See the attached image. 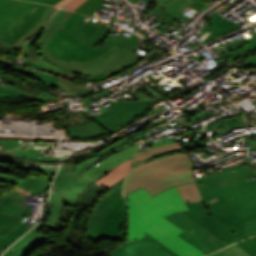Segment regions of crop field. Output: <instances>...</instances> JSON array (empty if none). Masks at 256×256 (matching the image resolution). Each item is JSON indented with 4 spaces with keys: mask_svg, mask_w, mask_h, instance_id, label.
Wrapping results in <instances>:
<instances>
[{
    "mask_svg": "<svg viewBox=\"0 0 256 256\" xmlns=\"http://www.w3.org/2000/svg\"><path fill=\"white\" fill-rule=\"evenodd\" d=\"M60 1H61V0H45V1H43L42 3L54 5V4H56V3L60 2Z\"/></svg>",
    "mask_w": 256,
    "mask_h": 256,
    "instance_id": "crop-field-46",
    "label": "crop field"
},
{
    "mask_svg": "<svg viewBox=\"0 0 256 256\" xmlns=\"http://www.w3.org/2000/svg\"><path fill=\"white\" fill-rule=\"evenodd\" d=\"M234 169L236 171L233 172L232 170H234ZM251 170H253L252 167L245 169L243 165H240V166H236V167L230 168L228 170H225L224 172L216 174V175L196 179V183L199 186V185H203V184H206V183L213 182V181H215V179L220 180V179H223V178H227V177L234 176V175L244 173V172H247V171H251Z\"/></svg>",
    "mask_w": 256,
    "mask_h": 256,
    "instance_id": "crop-field-25",
    "label": "crop field"
},
{
    "mask_svg": "<svg viewBox=\"0 0 256 256\" xmlns=\"http://www.w3.org/2000/svg\"><path fill=\"white\" fill-rule=\"evenodd\" d=\"M137 44L138 35L133 33L130 39L121 37L116 47L134 52V48L137 47Z\"/></svg>",
    "mask_w": 256,
    "mask_h": 256,
    "instance_id": "crop-field-31",
    "label": "crop field"
},
{
    "mask_svg": "<svg viewBox=\"0 0 256 256\" xmlns=\"http://www.w3.org/2000/svg\"><path fill=\"white\" fill-rule=\"evenodd\" d=\"M85 17L68 33L93 47L101 41L109 27L105 24L106 22L91 17L85 19Z\"/></svg>",
    "mask_w": 256,
    "mask_h": 256,
    "instance_id": "crop-field-13",
    "label": "crop field"
},
{
    "mask_svg": "<svg viewBox=\"0 0 256 256\" xmlns=\"http://www.w3.org/2000/svg\"><path fill=\"white\" fill-rule=\"evenodd\" d=\"M2 85H5V86L10 87V88H12V89H14V90H16V91H19V92H21V93H24V94H26V95H29V96L34 97L33 95H31V94H29V93H27V92H24V91H22V90H20V89H17V88H15V87L11 86V85H8V84H6V83H4V82H2ZM34 98H35V97H34Z\"/></svg>",
    "mask_w": 256,
    "mask_h": 256,
    "instance_id": "crop-field-42",
    "label": "crop field"
},
{
    "mask_svg": "<svg viewBox=\"0 0 256 256\" xmlns=\"http://www.w3.org/2000/svg\"><path fill=\"white\" fill-rule=\"evenodd\" d=\"M178 236H180L181 238H183L185 241H187L188 243H190L191 245H193L195 248H197L198 250L201 251V249H203L204 254L208 255L209 253L213 252L211 250H209L208 248L204 247L203 245H201L199 242H197L195 239H193L191 236H189L187 233L183 232L178 234Z\"/></svg>",
    "mask_w": 256,
    "mask_h": 256,
    "instance_id": "crop-field-34",
    "label": "crop field"
},
{
    "mask_svg": "<svg viewBox=\"0 0 256 256\" xmlns=\"http://www.w3.org/2000/svg\"><path fill=\"white\" fill-rule=\"evenodd\" d=\"M177 189L183 201L200 202L203 200L195 183L178 186Z\"/></svg>",
    "mask_w": 256,
    "mask_h": 256,
    "instance_id": "crop-field-26",
    "label": "crop field"
},
{
    "mask_svg": "<svg viewBox=\"0 0 256 256\" xmlns=\"http://www.w3.org/2000/svg\"><path fill=\"white\" fill-rule=\"evenodd\" d=\"M103 6H100L99 8H102ZM105 9V7H103Z\"/></svg>",
    "mask_w": 256,
    "mask_h": 256,
    "instance_id": "crop-field-52",
    "label": "crop field"
},
{
    "mask_svg": "<svg viewBox=\"0 0 256 256\" xmlns=\"http://www.w3.org/2000/svg\"><path fill=\"white\" fill-rule=\"evenodd\" d=\"M0 93H16V92L0 86Z\"/></svg>",
    "mask_w": 256,
    "mask_h": 256,
    "instance_id": "crop-field-45",
    "label": "crop field"
},
{
    "mask_svg": "<svg viewBox=\"0 0 256 256\" xmlns=\"http://www.w3.org/2000/svg\"><path fill=\"white\" fill-rule=\"evenodd\" d=\"M0 62L3 63V64H10V65H13V63H10V62L5 61V60H2V59H0Z\"/></svg>",
    "mask_w": 256,
    "mask_h": 256,
    "instance_id": "crop-field-48",
    "label": "crop field"
},
{
    "mask_svg": "<svg viewBox=\"0 0 256 256\" xmlns=\"http://www.w3.org/2000/svg\"><path fill=\"white\" fill-rule=\"evenodd\" d=\"M156 4L167 10L157 18L158 22L161 24L155 28L159 31L165 28L161 26L165 22L169 24L177 18L180 20L184 18L186 15L182 14L181 12L186 8L190 7L198 11L203 6L194 0H160Z\"/></svg>",
    "mask_w": 256,
    "mask_h": 256,
    "instance_id": "crop-field-14",
    "label": "crop field"
},
{
    "mask_svg": "<svg viewBox=\"0 0 256 256\" xmlns=\"http://www.w3.org/2000/svg\"><path fill=\"white\" fill-rule=\"evenodd\" d=\"M124 198H125V199H127L128 197H127V196H125ZM125 201H126V200H125Z\"/></svg>",
    "mask_w": 256,
    "mask_h": 256,
    "instance_id": "crop-field-53",
    "label": "crop field"
},
{
    "mask_svg": "<svg viewBox=\"0 0 256 256\" xmlns=\"http://www.w3.org/2000/svg\"><path fill=\"white\" fill-rule=\"evenodd\" d=\"M152 1L157 2L158 0H152Z\"/></svg>",
    "mask_w": 256,
    "mask_h": 256,
    "instance_id": "crop-field-51",
    "label": "crop field"
},
{
    "mask_svg": "<svg viewBox=\"0 0 256 256\" xmlns=\"http://www.w3.org/2000/svg\"><path fill=\"white\" fill-rule=\"evenodd\" d=\"M208 256H250L236 244H232Z\"/></svg>",
    "mask_w": 256,
    "mask_h": 256,
    "instance_id": "crop-field-28",
    "label": "crop field"
},
{
    "mask_svg": "<svg viewBox=\"0 0 256 256\" xmlns=\"http://www.w3.org/2000/svg\"><path fill=\"white\" fill-rule=\"evenodd\" d=\"M47 5L30 3L11 23L0 29V40L11 45L39 20Z\"/></svg>",
    "mask_w": 256,
    "mask_h": 256,
    "instance_id": "crop-field-11",
    "label": "crop field"
},
{
    "mask_svg": "<svg viewBox=\"0 0 256 256\" xmlns=\"http://www.w3.org/2000/svg\"><path fill=\"white\" fill-rule=\"evenodd\" d=\"M131 160L132 159L120 164L119 166L111 170L109 173L105 174L103 177L95 181V183H97L98 185L105 189L109 188L116 181H118L120 178L126 175L130 168Z\"/></svg>",
    "mask_w": 256,
    "mask_h": 256,
    "instance_id": "crop-field-22",
    "label": "crop field"
},
{
    "mask_svg": "<svg viewBox=\"0 0 256 256\" xmlns=\"http://www.w3.org/2000/svg\"><path fill=\"white\" fill-rule=\"evenodd\" d=\"M129 210V230L127 241L146 239L147 231L180 256H205L176 234L183 232L163 216L173 212L188 210L176 187L151 196L143 189L127 195ZM126 241V242H127Z\"/></svg>",
    "mask_w": 256,
    "mask_h": 256,
    "instance_id": "crop-field-2",
    "label": "crop field"
},
{
    "mask_svg": "<svg viewBox=\"0 0 256 256\" xmlns=\"http://www.w3.org/2000/svg\"><path fill=\"white\" fill-rule=\"evenodd\" d=\"M47 196V194H45V197ZM46 201V199H45ZM45 201L43 202V212H44V209H45Z\"/></svg>",
    "mask_w": 256,
    "mask_h": 256,
    "instance_id": "crop-field-49",
    "label": "crop field"
},
{
    "mask_svg": "<svg viewBox=\"0 0 256 256\" xmlns=\"http://www.w3.org/2000/svg\"><path fill=\"white\" fill-rule=\"evenodd\" d=\"M256 47V42L255 41H251V42H249L246 46H244L243 48H241V49H238V50H235V51H231V52H229V53H227V54H225V55H222V56H220V57H223V56H229L227 59V63H229L231 60H233L234 58H236V57H238V56H240V55H242L243 53H245V52H247V51H249V50H251V49H253V47ZM220 57H218V58H220ZM214 59H216V58H214Z\"/></svg>",
    "mask_w": 256,
    "mask_h": 256,
    "instance_id": "crop-field-32",
    "label": "crop field"
},
{
    "mask_svg": "<svg viewBox=\"0 0 256 256\" xmlns=\"http://www.w3.org/2000/svg\"><path fill=\"white\" fill-rule=\"evenodd\" d=\"M27 1L40 2L42 0H27Z\"/></svg>",
    "mask_w": 256,
    "mask_h": 256,
    "instance_id": "crop-field-50",
    "label": "crop field"
},
{
    "mask_svg": "<svg viewBox=\"0 0 256 256\" xmlns=\"http://www.w3.org/2000/svg\"><path fill=\"white\" fill-rule=\"evenodd\" d=\"M253 40H255V41H256V38H254Z\"/></svg>",
    "mask_w": 256,
    "mask_h": 256,
    "instance_id": "crop-field-54",
    "label": "crop field"
},
{
    "mask_svg": "<svg viewBox=\"0 0 256 256\" xmlns=\"http://www.w3.org/2000/svg\"><path fill=\"white\" fill-rule=\"evenodd\" d=\"M19 96H23L19 93L16 94H0V97H19Z\"/></svg>",
    "mask_w": 256,
    "mask_h": 256,
    "instance_id": "crop-field-44",
    "label": "crop field"
},
{
    "mask_svg": "<svg viewBox=\"0 0 256 256\" xmlns=\"http://www.w3.org/2000/svg\"><path fill=\"white\" fill-rule=\"evenodd\" d=\"M23 181H24V179H20V178L0 174V182L19 185Z\"/></svg>",
    "mask_w": 256,
    "mask_h": 256,
    "instance_id": "crop-field-36",
    "label": "crop field"
},
{
    "mask_svg": "<svg viewBox=\"0 0 256 256\" xmlns=\"http://www.w3.org/2000/svg\"><path fill=\"white\" fill-rule=\"evenodd\" d=\"M121 188L122 185L112 192L97 209H93L87 220L86 233L95 242L101 238L117 240L120 237L121 222L127 213Z\"/></svg>",
    "mask_w": 256,
    "mask_h": 256,
    "instance_id": "crop-field-4",
    "label": "crop field"
},
{
    "mask_svg": "<svg viewBox=\"0 0 256 256\" xmlns=\"http://www.w3.org/2000/svg\"><path fill=\"white\" fill-rule=\"evenodd\" d=\"M29 3L21 0H0V28L15 19Z\"/></svg>",
    "mask_w": 256,
    "mask_h": 256,
    "instance_id": "crop-field-17",
    "label": "crop field"
},
{
    "mask_svg": "<svg viewBox=\"0 0 256 256\" xmlns=\"http://www.w3.org/2000/svg\"><path fill=\"white\" fill-rule=\"evenodd\" d=\"M245 65H256V55L244 61Z\"/></svg>",
    "mask_w": 256,
    "mask_h": 256,
    "instance_id": "crop-field-41",
    "label": "crop field"
},
{
    "mask_svg": "<svg viewBox=\"0 0 256 256\" xmlns=\"http://www.w3.org/2000/svg\"><path fill=\"white\" fill-rule=\"evenodd\" d=\"M218 189L242 220L256 213V181L244 183L240 180L200 193L203 195Z\"/></svg>",
    "mask_w": 256,
    "mask_h": 256,
    "instance_id": "crop-field-8",
    "label": "crop field"
},
{
    "mask_svg": "<svg viewBox=\"0 0 256 256\" xmlns=\"http://www.w3.org/2000/svg\"><path fill=\"white\" fill-rule=\"evenodd\" d=\"M104 0H87L75 12L92 15Z\"/></svg>",
    "mask_w": 256,
    "mask_h": 256,
    "instance_id": "crop-field-29",
    "label": "crop field"
},
{
    "mask_svg": "<svg viewBox=\"0 0 256 256\" xmlns=\"http://www.w3.org/2000/svg\"><path fill=\"white\" fill-rule=\"evenodd\" d=\"M119 37H120V36H117V35H116L115 37H113V38L111 39V41H110L106 46H108L109 44L115 46L116 43H117V41H118V39H119ZM106 46H105V47H106ZM105 47H104V48H105ZM104 48H102V49H104ZM102 49H100V51H101Z\"/></svg>",
    "mask_w": 256,
    "mask_h": 256,
    "instance_id": "crop-field-43",
    "label": "crop field"
},
{
    "mask_svg": "<svg viewBox=\"0 0 256 256\" xmlns=\"http://www.w3.org/2000/svg\"><path fill=\"white\" fill-rule=\"evenodd\" d=\"M12 70L22 72V73H25L27 75L33 76V77L39 79L40 82L44 83L48 87H50L51 85H53L54 83L59 81V79H57V78H54L52 76H49L47 74L41 73V72L36 71V70L34 72H32L28 69H24V68H20V67H12ZM65 83H67V82H65ZM67 84L75 87V90L78 92L79 96H81V97L94 92V90L91 89V88L78 86V85H74V84H70V83H67Z\"/></svg>",
    "mask_w": 256,
    "mask_h": 256,
    "instance_id": "crop-field-20",
    "label": "crop field"
},
{
    "mask_svg": "<svg viewBox=\"0 0 256 256\" xmlns=\"http://www.w3.org/2000/svg\"><path fill=\"white\" fill-rule=\"evenodd\" d=\"M182 149L183 148L180 145V143L175 142V143L167 144L164 146L156 147L153 149L145 150L142 152H138L134 158L133 164L139 161H143L147 158H151V157L163 154V153L182 150Z\"/></svg>",
    "mask_w": 256,
    "mask_h": 256,
    "instance_id": "crop-field-24",
    "label": "crop field"
},
{
    "mask_svg": "<svg viewBox=\"0 0 256 256\" xmlns=\"http://www.w3.org/2000/svg\"><path fill=\"white\" fill-rule=\"evenodd\" d=\"M192 169V162L186 154L164 157L134 167L126 177L124 195L138 188H145L155 195L172 186L193 182Z\"/></svg>",
    "mask_w": 256,
    "mask_h": 256,
    "instance_id": "crop-field-3",
    "label": "crop field"
},
{
    "mask_svg": "<svg viewBox=\"0 0 256 256\" xmlns=\"http://www.w3.org/2000/svg\"><path fill=\"white\" fill-rule=\"evenodd\" d=\"M147 240L127 242L110 256H179L144 231Z\"/></svg>",
    "mask_w": 256,
    "mask_h": 256,
    "instance_id": "crop-field-12",
    "label": "crop field"
},
{
    "mask_svg": "<svg viewBox=\"0 0 256 256\" xmlns=\"http://www.w3.org/2000/svg\"><path fill=\"white\" fill-rule=\"evenodd\" d=\"M70 138L73 139H84V138H95L107 134L102 128H100L96 123L80 126L66 128Z\"/></svg>",
    "mask_w": 256,
    "mask_h": 256,
    "instance_id": "crop-field-21",
    "label": "crop field"
},
{
    "mask_svg": "<svg viewBox=\"0 0 256 256\" xmlns=\"http://www.w3.org/2000/svg\"><path fill=\"white\" fill-rule=\"evenodd\" d=\"M44 55L72 70L80 75L97 76L102 73L110 77L111 75L123 70L124 68L136 63L143 55L135 54L125 50L111 48L105 54L90 62H77L71 60L69 63L60 61L53 57L43 44Z\"/></svg>",
    "mask_w": 256,
    "mask_h": 256,
    "instance_id": "crop-field-5",
    "label": "crop field"
},
{
    "mask_svg": "<svg viewBox=\"0 0 256 256\" xmlns=\"http://www.w3.org/2000/svg\"><path fill=\"white\" fill-rule=\"evenodd\" d=\"M68 1H69V0H63V1H61L60 3H58V4L54 5V6L60 7V6H62L63 4H65L66 2H68Z\"/></svg>",
    "mask_w": 256,
    "mask_h": 256,
    "instance_id": "crop-field-47",
    "label": "crop field"
},
{
    "mask_svg": "<svg viewBox=\"0 0 256 256\" xmlns=\"http://www.w3.org/2000/svg\"><path fill=\"white\" fill-rule=\"evenodd\" d=\"M236 244L239 245L251 256H256V236Z\"/></svg>",
    "mask_w": 256,
    "mask_h": 256,
    "instance_id": "crop-field-33",
    "label": "crop field"
},
{
    "mask_svg": "<svg viewBox=\"0 0 256 256\" xmlns=\"http://www.w3.org/2000/svg\"><path fill=\"white\" fill-rule=\"evenodd\" d=\"M42 229L40 224L10 248L4 256H28L34 249L42 245L46 240L44 234L36 233Z\"/></svg>",
    "mask_w": 256,
    "mask_h": 256,
    "instance_id": "crop-field-15",
    "label": "crop field"
},
{
    "mask_svg": "<svg viewBox=\"0 0 256 256\" xmlns=\"http://www.w3.org/2000/svg\"><path fill=\"white\" fill-rule=\"evenodd\" d=\"M202 197L200 203H186L190 211L174 212L165 218L213 251L252 235L244 222L256 215L242 221L220 190Z\"/></svg>",
    "mask_w": 256,
    "mask_h": 256,
    "instance_id": "crop-field-1",
    "label": "crop field"
},
{
    "mask_svg": "<svg viewBox=\"0 0 256 256\" xmlns=\"http://www.w3.org/2000/svg\"><path fill=\"white\" fill-rule=\"evenodd\" d=\"M146 134L147 133L143 134L142 132H140V133L125 137V138L119 140L118 142L114 143L113 145L109 146L108 148H106V149L102 150L101 152L97 153L96 155L100 156V155H102L106 152H109V151H111V150H113L117 147H120V146H122V145H124V144H126V143H128L132 140H135V139H138V138H144Z\"/></svg>",
    "mask_w": 256,
    "mask_h": 256,
    "instance_id": "crop-field-30",
    "label": "crop field"
},
{
    "mask_svg": "<svg viewBox=\"0 0 256 256\" xmlns=\"http://www.w3.org/2000/svg\"><path fill=\"white\" fill-rule=\"evenodd\" d=\"M206 27L212 29L213 31L211 35L200 42V44L211 41L223 34L241 28L219 14L215 16Z\"/></svg>",
    "mask_w": 256,
    "mask_h": 256,
    "instance_id": "crop-field-19",
    "label": "crop field"
},
{
    "mask_svg": "<svg viewBox=\"0 0 256 256\" xmlns=\"http://www.w3.org/2000/svg\"><path fill=\"white\" fill-rule=\"evenodd\" d=\"M24 196L12 192L0 197V248L14 241L29 228L21 223L23 216H31V207L24 205Z\"/></svg>",
    "mask_w": 256,
    "mask_h": 256,
    "instance_id": "crop-field-7",
    "label": "crop field"
},
{
    "mask_svg": "<svg viewBox=\"0 0 256 256\" xmlns=\"http://www.w3.org/2000/svg\"><path fill=\"white\" fill-rule=\"evenodd\" d=\"M254 37H256V35L250 37V38H247V39H238V40H235L234 42L235 43H232V44H229V45H226L227 47H229L230 49L234 50V49H238V48H241L243 47L244 45H246L249 41H251Z\"/></svg>",
    "mask_w": 256,
    "mask_h": 256,
    "instance_id": "crop-field-35",
    "label": "crop field"
},
{
    "mask_svg": "<svg viewBox=\"0 0 256 256\" xmlns=\"http://www.w3.org/2000/svg\"><path fill=\"white\" fill-rule=\"evenodd\" d=\"M71 13L72 12L63 10L57 11L51 19L47 29L42 32L37 42L46 44Z\"/></svg>",
    "mask_w": 256,
    "mask_h": 256,
    "instance_id": "crop-field-23",
    "label": "crop field"
},
{
    "mask_svg": "<svg viewBox=\"0 0 256 256\" xmlns=\"http://www.w3.org/2000/svg\"><path fill=\"white\" fill-rule=\"evenodd\" d=\"M162 111H165V109H163L160 104H155L153 106V108L151 109L150 113L147 115H152V114H155V113H159V112H162Z\"/></svg>",
    "mask_w": 256,
    "mask_h": 256,
    "instance_id": "crop-field-40",
    "label": "crop field"
},
{
    "mask_svg": "<svg viewBox=\"0 0 256 256\" xmlns=\"http://www.w3.org/2000/svg\"><path fill=\"white\" fill-rule=\"evenodd\" d=\"M14 167L26 170H36L42 174L48 175L46 178L27 176V180L14 189L21 188L24 190L31 191V195L43 193L48 189L52 173L46 167H35L20 164H15Z\"/></svg>",
    "mask_w": 256,
    "mask_h": 256,
    "instance_id": "crop-field-16",
    "label": "crop field"
},
{
    "mask_svg": "<svg viewBox=\"0 0 256 256\" xmlns=\"http://www.w3.org/2000/svg\"><path fill=\"white\" fill-rule=\"evenodd\" d=\"M246 225L249 227L253 235H256V218L246 222Z\"/></svg>",
    "mask_w": 256,
    "mask_h": 256,
    "instance_id": "crop-field-38",
    "label": "crop field"
},
{
    "mask_svg": "<svg viewBox=\"0 0 256 256\" xmlns=\"http://www.w3.org/2000/svg\"><path fill=\"white\" fill-rule=\"evenodd\" d=\"M124 179H125V178H124ZM124 179L121 180V181H119V182L117 183V185H115V186H113V187L107 189V190H109L110 192L107 193V194L102 198V200H101L94 208H97V207L102 203V201H103L113 190H115L118 186H120V185L123 183Z\"/></svg>",
    "mask_w": 256,
    "mask_h": 256,
    "instance_id": "crop-field-39",
    "label": "crop field"
},
{
    "mask_svg": "<svg viewBox=\"0 0 256 256\" xmlns=\"http://www.w3.org/2000/svg\"><path fill=\"white\" fill-rule=\"evenodd\" d=\"M40 34L31 38L24 45L22 55L28 56V61L31 62V63H29V66H33L35 68H39L41 70L60 74L63 76L71 77L73 79L75 77L85 79V80H101V79L107 78V76H105L104 74L101 76H98V77L80 76V75L74 73L73 71L65 68L64 66L59 65V64L45 58L41 51L42 44L35 43Z\"/></svg>",
    "mask_w": 256,
    "mask_h": 256,
    "instance_id": "crop-field-10",
    "label": "crop field"
},
{
    "mask_svg": "<svg viewBox=\"0 0 256 256\" xmlns=\"http://www.w3.org/2000/svg\"><path fill=\"white\" fill-rule=\"evenodd\" d=\"M83 17L84 15L73 13L63 25L64 28L59 29L46 44L52 55L68 62L70 59L77 61H89L106 52L110 48V46H108L103 51H98L110 41L113 37L112 34L95 50L67 33Z\"/></svg>",
    "mask_w": 256,
    "mask_h": 256,
    "instance_id": "crop-field-6",
    "label": "crop field"
},
{
    "mask_svg": "<svg viewBox=\"0 0 256 256\" xmlns=\"http://www.w3.org/2000/svg\"><path fill=\"white\" fill-rule=\"evenodd\" d=\"M57 10V8L48 6L43 15L41 16L40 20L37 22V24L30 29L27 33H25L21 38H19L13 46L6 44L4 42L0 41L1 46H5L8 48H13L20 50V48L23 46L26 40L31 38L34 34L39 33L40 31H43L49 18L52 16V14Z\"/></svg>",
    "mask_w": 256,
    "mask_h": 256,
    "instance_id": "crop-field-18",
    "label": "crop field"
},
{
    "mask_svg": "<svg viewBox=\"0 0 256 256\" xmlns=\"http://www.w3.org/2000/svg\"><path fill=\"white\" fill-rule=\"evenodd\" d=\"M161 98L163 97L148 101L110 103L113 107L109 108L108 111L93 117V119L108 131L112 132L144 114L151 103Z\"/></svg>",
    "mask_w": 256,
    "mask_h": 256,
    "instance_id": "crop-field-9",
    "label": "crop field"
},
{
    "mask_svg": "<svg viewBox=\"0 0 256 256\" xmlns=\"http://www.w3.org/2000/svg\"><path fill=\"white\" fill-rule=\"evenodd\" d=\"M253 176H255V175H254L253 171H251V172L240 174V175H237V176H234V177H230V178H227V179L216 181V182H213V183H210V184L199 186L198 188H199L200 191H202V190L213 188V187H216V186H219V185H223V184H226V183L237 181V180H240V179L250 178V177H253Z\"/></svg>",
    "mask_w": 256,
    "mask_h": 256,
    "instance_id": "crop-field-27",
    "label": "crop field"
},
{
    "mask_svg": "<svg viewBox=\"0 0 256 256\" xmlns=\"http://www.w3.org/2000/svg\"><path fill=\"white\" fill-rule=\"evenodd\" d=\"M85 0H72L68 4H66L64 9L72 10L74 11L77 7H79Z\"/></svg>",
    "mask_w": 256,
    "mask_h": 256,
    "instance_id": "crop-field-37",
    "label": "crop field"
}]
</instances>
